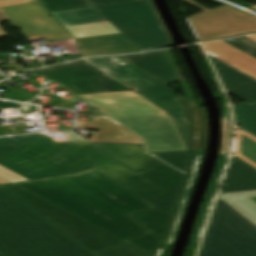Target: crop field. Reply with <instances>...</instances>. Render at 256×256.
<instances>
[{
    "label": "crop field",
    "mask_w": 256,
    "mask_h": 256,
    "mask_svg": "<svg viewBox=\"0 0 256 256\" xmlns=\"http://www.w3.org/2000/svg\"><path fill=\"white\" fill-rule=\"evenodd\" d=\"M16 147L72 174L93 169L73 153L56 144L54 141L17 145Z\"/></svg>",
    "instance_id": "crop-field-15"
},
{
    "label": "crop field",
    "mask_w": 256,
    "mask_h": 256,
    "mask_svg": "<svg viewBox=\"0 0 256 256\" xmlns=\"http://www.w3.org/2000/svg\"><path fill=\"white\" fill-rule=\"evenodd\" d=\"M77 96L139 136L145 152L188 148V126L132 91Z\"/></svg>",
    "instance_id": "crop-field-4"
},
{
    "label": "crop field",
    "mask_w": 256,
    "mask_h": 256,
    "mask_svg": "<svg viewBox=\"0 0 256 256\" xmlns=\"http://www.w3.org/2000/svg\"><path fill=\"white\" fill-rule=\"evenodd\" d=\"M91 142L142 144L141 139L133 134L108 132H92Z\"/></svg>",
    "instance_id": "crop-field-25"
},
{
    "label": "crop field",
    "mask_w": 256,
    "mask_h": 256,
    "mask_svg": "<svg viewBox=\"0 0 256 256\" xmlns=\"http://www.w3.org/2000/svg\"><path fill=\"white\" fill-rule=\"evenodd\" d=\"M252 8L256 9V6H254V7H252Z\"/></svg>",
    "instance_id": "crop-field-41"
},
{
    "label": "crop field",
    "mask_w": 256,
    "mask_h": 256,
    "mask_svg": "<svg viewBox=\"0 0 256 256\" xmlns=\"http://www.w3.org/2000/svg\"><path fill=\"white\" fill-rule=\"evenodd\" d=\"M82 219L125 241L150 233V231L114 205Z\"/></svg>",
    "instance_id": "crop-field-14"
},
{
    "label": "crop field",
    "mask_w": 256,
    "mask_h": 256,
    "mask_svg": "<svg viewBox=\"0 0 256 256\" xmlns=\"http://www.w3.org/2000/svg\"><path fill=\"white\" fill-rule=\"evenodd\" d=\"M198 121V150H205L207 146L208 118L204 107L193 102Z\"/></svg>",
    "instance_id": "crop-field-26"
},
{
    "label": "crop field",
    "mask_w": 256,
    "mask_h": 256,
    "mask_svg": "<svg viewBox=\"0 0 256 256\" xmlns=\"http://www.w3.org/2000/svg\"><path fill=\"white\" fill-rule=\"evenodd\" d=\"M221 193L256 189V170L232 156Z\"/></svg>",
    "instance_id": "crop-field-19"
},
{
    "label": "crop field",
    "mask_w": 256,
    "mask_h": 256,
    "mask_svg": "<svg viewBox=\"0 0 256 256\" xmlns=\"http://www.w3.org/2000/svg\"><path fill=\"white\" fill-rule=\"evenodd\" d=\"M1 21H11V20L7 17V15L4 13L3 10H0V22H1Z\"/></svg>",
    "instance_id": "crop-field-37"
},
{
    "label": "crop field",
    "mask_w": 256,
    "mask_h": 256,
    "mask_svg": "<svg viewBox=\"0 0 256 256\" xmlns=\"http://www.w3.org/2000/svg\"><path fill=\"white\" fill-rule=\"evenodd\" d=\"M0 187L17 196L93 253L125 242L14 184ZM96 255L152 256L128 243Z\"/></svg>",
    "instance_id": "crop-field-5"
},
{
    "label": "crop field",
    "mask_w": 256,
    "mask_h": 256,
    "mask_svg": "<svg viewBox=\"0 0 256 256\" xmlns=\"http://www.w3.org/2000/svg\"><path fill=\"white\" fill-rule=\"evenodd\" d=\"M55 142L60 144L61 146L65 147L69 151L73 152L75 155L81 154V153H84L87 151H91L94 149H98L94 145L90 144L84 138L59 140V141H55Z\"/></svg>",
    "instance_id": "crop-field-27"
},
{
    "label": "crop field",
    "mask_w": 256,
    "mask_h": 256,
    "mask_svg": "<svg viewBox=\"0 0 256 256\" xmlns=\"http://www.w3.org/2000/svg\"><path fill=\"white\" fill-rule=\"evenodd\" d=\"M0 107H4V108H20V104H18V103H10V102H6V101H1L0 100Z\"/></svg>",
    "instance_id": "crop-field-36"
},
{
    "label": "crop field",
    "mask_w": 256,
    "mask_h": 256,
    "mask_svg": "<svg viewBox=\"0 0 256 256\" xmlns=\"http://www.w3.org/2000/svg\"><path fill=\"white\" fill-rule=\"evenodd\" d=\"M219 196L245 218L256 225V190L225 193L219 194Z\"/></svg>",
    "instance_id": "crop-field-20"
},
{
    "label": "crop field",
    "mask_w": 256,
    "mask_h": 256,
    "mask_svg": "<svg viewBox=\"0 0 256 256\" xmlns=\"http://www.w3.org/2000/svg\"><path fill=\"white\" fill-rule=\"evenodd\" d=\"M0 254L96 256L2 188H0Z\"/></svg>",
    "instance_id": "crop-field-3"
},
{
    "label": "crop field",
    "mask_w": 256,
    "mask_h": 256,
    "mask_svg": "<svg viewBox=\"0 0 256 256\" xmlns=\"http://www.w3.org/2000/svg\"><path fill=\"white\" fill-rule=\"evenodd\" d=\"M35 0H0V8L34 2Z\"/></svg>",
    "instance_id": "crop-field-33"
},
{
    "label": "crop field",
    "mask_w": 256,
    "mask_h": 256,
    "mask_svg": "<svg viewBox=\"0 0 256 256\" xmlns=\"http://www.w3.org/2000/svg\"><path fill=\"white\" fill-rule=\"evenodd\" d=\"M93 6L104 5V4H112L126 1H134V0H88Z\"/></svg>",
    "instance_id": "crop-field-35"
},
{
    "label": "crop field",
    "mask_w": 256,
    "mask_h": 256,
    "mask_svg": "<svg viewBox=\"0 0 256 256\" xmlns=\"http://www.w3.org/2000/svg\"><path fill=\"white\" fill-rule=\"evenodd\" d=\"M7 34L4 32V30L0 27V38L6 37Z\"/></svg>",
    "instance_id": "crop-field-38"
},
{
    "label": "crop field",
    "mask_w": 256,
    "mask_h": 256,
    "mask_svg": "<svg viewBox=\"0 0 256 256\" xmlns=\"http://www.w3.org/2000/svg\"><path fill=\"white\" fill-rule=\"evenodd\" d=\"M32 73L62 84L76 94L129 90L83 61L57 65Z\"/></svg>",
    "instance_id": "crop-field-10"
},
{
    "label": "crop field",
    "mask_w": 256,
    "mask_h": 256,
    "mask_svg": "<svg viewBox=\"0 0 256 256\" xmlns=\"http://www.w3.org/2000/svg\"><path fill=\"white\" fill-rule=\"evenodd\" d=\"M232 40H234V41L231 42L228 39H226L224 41L256 58V43L255 42H253L245 37L232 38Z\"/></svg>",
    "instance_id": "crop-field-30"
},
{
    "label": "crop field",
    "mask_w": 256,
    "mask_h": 256,
    "mask_svg": "<svg viewBox=\"0 0 256 256\" xmlns=\"http://www.w3.org/2000/svg\"><path fill=\"white\" fill-rule=\"evenodd\" d=\"M120 57L168 85L178 81L170 62L162 51Z\"/></svg>",
    "instance_id": "crop-field-17"
},
{
    "label": "crop field",
    "mask_w": 256,
    "mask_h": 256,
    "mask_svg": "<svg viewBox=\"0 0 256 256\" xmlns=\"http://www.w3.org/2000/svg\"><path fill=\"white\" fill-rule=\"evenodd\" d=\"M223 122V128H222V134H223V139H222V148L227 149V144H228V137H229V126L228 122L222 119Z\"/></svg>",
    "instance_id": "crop-field-34"
},
{
    "label": "crop field",
    "mask_w": 256,
    "mask_h": 256,
    "mask_svg": "<svg viewBox=\"0 0 256 256\" xmlns=\"http://www.w3.org/2000/svg\"><path fill=\"white\" fill-rule=\"evenodd\" d=\"M206 51L256 78V59L222 40L203 44ZM256 108V104L252 105Z\"/></svg>",
    "instance_id": "crop-field-18"
},
{
    "label": "crop field",
    "mask_w": 256,
    "mask_h": 256,
    "mask_svg": "<svg viewBox=\"0 0 256 256\" xmlns=\"http://www.w3.org/2000/svg\"><path fill=\"white\" fill-rule=\"evenodd\" d=\"M14 184L80 218L112 205L73 175Z\"/></svg>",
    "instance_id": "crop-field-7"
},
{
    "label": "crop field",
    "mask_w": 256,
    "mask_h": 256,
    "mask_svg": "<svg viewBox=\"0 0 256 256\" xmlns=\"http://www.w3.org/2000/svg\"><path fill=\"white\" fill-rule=\"evenodd\" d=\"M83 60L186 124L183 107L174 90L126 64L116 56Z\"/></svg>",
    "instance_id": "crop-field-8"
},
{
    "label": "crop field",
    "mask_w": 256,
    "mask_h": 256,
    "mask_svg": "<svg viewBox=\"0 0 256 256\" xmlns=\"http://www.w3.org/2000/svg\"><path fill=\"white\" fill-rule=\"evenodd\" d=\"M0 164L29 180L69 174L2 140Z\"/></svg>",
    "instance_id": "crop-field-13"
},
{
    "label": "crop field",
    "mask_w": 256,
    "mask_h": 256,
    "mask_svg": "<svg viewBox=\"0 0 256 256\" xmlns=\"http://www.w3.org/2000/svg\"><path fill=\"white\" fill-rule=\"evenodd\" d=\"M51 14L76 37L82 56L173 46L151 0Z\"/></svg>",
    "instance_id": "crop-field-2"
},
{
    "label": "crop field",
    "mask_w": 256,
    "mask_h": 256,
    "mask_svg": "<svg viewBox=\"0 0 256 256\" xmlns=\"http://www.w3.org/2000/svg\"><path fill=\"white\" fill-rule=\"evenodd\" d=\"M4 10L13 20L9 24L30 40L46 38L51 41L72 37L37 2Z\"/></svg>",
    "instance_id": "crop-field-11"
},
{
    "label": "crop field",
    "mask_w": 256,
    "mask_h": 256,
    "mask_svg": "<svg viewBox=\"0 0 256 256\" xmlns=\"http://www.w3.org/2000/svg\"><path fill=\"white\" fill-rule=\"evenodd\" d=\"M49 11L87 7L84 0H39Z\"/></svg>",
    "instance_id": "crop-field-28"
},
{
    "label": "crop field",
    "mask_w": 256,
    "mask_h": 256,
    "mask_svg": "<svg viewBox=\"0 0 256 256\" xmlns=\"http://www.w3.org/2000/svg\"><path fill=\"white\" fill-rule=\"evenodd\" d=\"M3 183H10V182H8V181H6V180L0 178V184H3Z\"/></svg>",
    "instance_id": "crop-field-40"
},
{
    "label": "crop field",
    "mask_w": 256,
    "mask_h": 256,
    "mask_svg": "<svg viewBox=\"0 0 256 256\" xmlns=\"http://www.w3.org/2000/svg\"><path fill=\"white\" fill-rule=\"evenodd\" d=\"M185 1L205 11L188 17L200 42L256 32V17L252 15L226 5L210 10L193 0Z\"/></svg>",
    "instance_id": "crop-field-9"
},
{
    "label": "crop field",
    "mask_w": 256,
    "mask_h": 256,
    "mask_svg": "<svg viewBox=\"0 0 256 256\" xmlns=\"http://www.w3.org/2000/svg\"><path fill=\"white\" fill-rule=\"evenodd\" d=\"M77 129L132 133L110 118L97 116L93 121H78Z\"/></svg>",
    "instance_id": "crop-field-22"
},
{
    "label": "crop field",
    "mask_w": 256,
    "mask_h": 256,
    "mask_svg": "<svg viewBox=\"0 0 256 256\" xmlns=\"http://www.w3.org/2000/svg\"><path fill=\"white\" fill-rule=\"evenodd\" d=\"M204 152L202 151H199L198 154H197V162H196V165H195V168H194V171L190 177V180H189V183L187 185V188H186V191H185V194L183 196V199H182V202H181V205H180V208H179V211L177 213V216H176V219H175V222H174V225L172 227V230L169 234V237L166 241V243L170 246H172V243L174 241V238H175V235H176V232H177V228H178V225H179V221L183 215V212L185 210V207L187 205V202H188V199L190 197V194H191V191H192V188L194 186V183L196 181V177H197V173H198V169H199V165H200V161H201V158L203 156Z\"/></svg>",
    "instance_id": "crop-field-23"
},
{
    "label": "crop field",
    "mask_w": 256,
    "mask_h": 256,
    "mask_svg": "<svg viewBox=\"0 0 256 256\" xmlns=\"http://www.w3.org/2000/svg\"><path fill=\"white\" fill-rule=\"evenodd\" d=\"M0 139L4 140V141H6V142H8L12 145L51 140V139L43 136L42 134L30 135V136H21V137H14V138L1 137Z\"/></svg>",
    "instance_id": "crop-field-31"
},
{
    "label": "crop field",
    "mask_w": 256,
    "mask_h": 256,
    "mask_svg": "<svg viewBox=\"0 0 256 256\" xmlns=\"http://www.w3.org/2000/svg\"><path fill=\"white\" fill-rule=\"evenodd\" d=\"M247 38L256 42V35L247 36Z\"/></svg>",
    "instance_id": "crop-field-39"
},
{
    "label": "crop field",
    "mask_w": 256,
    "mask_h": 256,
    "mask_svg": "<svg viewBox=\"0 0 256 256\" xmlns=\"http://www.w3.org/2000/svg\"><path fill=\"white\" fill-rule=\"evenodd\" d=\"M100 149L77 155L156 207L132 215L162 238L186 177L192 151L144 153L143 145L92 143Z\"/></svg>",
    "instance_id": "crop-field-1"
},
{
    "label": "crop field",
    "mask_w": 256,
    "mask_h": 256,
    "mask_svg": "<svg viewBox=\"0 0 256 256\" xmlns=\"http://www.w3.org/2000/svg\"><path fill=\"white\" fill-rule=\"evenodd\" d=\"M234 155L256 169V137L237 128Z\"/></svg>",
    "instance_id": "crop-field-21"
},
{
    "label": "crop field",
    "mask_w": 256,
    "mask_h": 256,
    "mask_svg": "<svg viewBox=\"0 0 256 256\" xmlns=\"http://www.w3.org/2000/svg\"><path fill=\"white\" fill-rule=\"evenodd\" d=\"M0 176L12 181V182H18V181H26L27 179L17 175L16 173L2 167L0 165Z\"/></svg>",
    "instance_id": "crop-field-32"
},
{
    "label": "crop field",
    "mask_w": 256,
    "mask_h": 256,
    "mask_svg": "<svg viewBox=\"0 0 256 256\" xmlns=\"http://www.w3.org/2000/svg\"><path fill=\"white\" fill-rule=\"evenodd\" d=\"M209 58L227 92L251 105L256 103V80L211 56Z\"/></svg>",
    "instance_id": "crop-field-16"
},
{
    "label": "crop field",
    "mask_w": 256,
    "mask_h": 256,
    "mask_svg": "<svg viewBox=\"0 0 256 256\" xmlns=\"http://www.w3.org/2000/svg\"><path fill=\"white\" fill-rule=\"evenodd\" d=\"M0 256H2V255H0Z\"/></svg>",
    "instance_id": "crop-field-42"
},
{
    "label": "crop field",
    "mask_w": 256,
    "mask_h": 256,
    "mask_svg": "<svg viewBox=\"0 0 256 256\" xmlns=\"http://www.w3.org/2000/svg\"><path fill=\"white\" fill-rule=\"evenodd\" d=\"M240 115L239 127H242L256 136V109L243 102L233 106Z\"/></svg>",
    "instance_id": "crop-field-24"
},
{
    "label": "crop field",
    "mask_w": 256,
    "mask_h": 256,
    "mask_svg": "<svg viewBox=\"0 0 256 256\" xmlns=\"http://www.w3.org/2000/svg\"><path fill=\"white\" fill-rule=\"evenodd\" d=\"M74 175L128 215L153 208L96 169Z\"/></svg>",
    "instance_id": "crop-field-12"
},
{
    "label": "crop field",
    "mask_w": 256,
    "mask_h": 256,
    "mask_svg": "<svg viewBox=\"0 0 256 256\" xmlns=\"http://www.w3.org/2000/svg\"><path fill=\"white\" fill-rule=\"evenodd\" d=\"M159 241V237L155 236L154 234H151L129 243L152 255H155V251L157 249Z\"/></svg>",
    "instance_id": "crop-field-29"
},
{
    "label": "crop field",
    "mask_w": 256,
    "mask_h": 256,
    "mask_svg": "<svg viewBox=\"0 0 256 256\" xmlns=\"http://www.w3.org/2000/svg\"><path fill=\"white\" fill-rule=\"evenodd\" d=\"M198 256H256V226L219 198Z\"/></svg>",
    "instance_id": "crop-field-6"
}]
</instances>
